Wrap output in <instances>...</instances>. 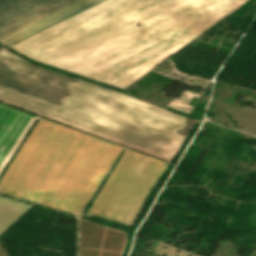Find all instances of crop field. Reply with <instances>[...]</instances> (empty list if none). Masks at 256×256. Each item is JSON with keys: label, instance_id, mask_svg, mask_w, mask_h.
I'll return each instance as SVG.
<instances>
[{"label": "crop field", "instance_id": "8a807250", "mask_svg": "<svg viewBox=\"0 0 256 256\" xmlns=\"http://www.w3.org/2000/svg\"><path fill=\"white\" fill-rule=\"evenodd\" d=\"M246 0H107L12 48L124 88Z\"/></svg>", "mask_w": 256, "mask_h": 256}, {"label": "crop field", "instance_id": "ac0d7876", "mask_svg": "<svg viewBox=\"0 0 256 256\" xmlns=\"http://www.w3.org/2000/svg\"><path fill=\"white\" fill-rule=\"evenodd\" d=\"M0 100L171 161L194 121L0 49Z\"/></svg>", "mask_w": 256, "mask_h": 256}, {"label": "crop field", "instance_id": "34b2d1b8", "mask_svg": "<svg viewBox=\"0 0 256 256\" xmlns=\"http://www.w3.org/2000/svg\"><path fill=\"white\" fill-rule=\"evenodd\" d=\"M39 120L0 192L80 216L123 147Z\"/></svg>", "mask_w": 256, "mask_h": 256}, {"label": "crop field", "instance_id": "412701ff", "mask_svg": "<svg viewBox=\"0 0 256 256\" xmlns=\"http://www.w3.org/2000/svg\"><path fill=\"white\" fill-rule=\"evenodd\" d=\"M125 150L87 214L131 226L168 163Z\"/></svg>", "mask_w": 256, "mask_h": 256}, {"label": "crop field", "instance_id": "f4fd0767", "mask_svg": "<svg viewBox=\"0 0 256 256\" xmlns=\"http://www.w3.org/2000/svg\"><path fill=\"white\" fill-rule=\"evenodd\" d=\"M76 0H23L0 11V38Z\"/></svg>", "mask_w": 256, "mask_h": 256}, {"label": "crop field", "instance_id": "dd49c442", "mask_svg": "<svg viewBox=\"0 0 256 256\" xmlns=\"http://www.w3.org/2000/svg\"><path fill=\"white\" fill-rule=\"evenodd\" d=\"M36 119L38 117L13 108L9 112L0 126V173Z\"/></svg>", "mask_w": 256, "mask_h": 256}, {"label": "crop field", "instance_id": "e52e79f7", "mask_svg": "<svg viewBox=\"0 0 256 256\" xmlns=\"http://www.w3.org/2000/svg\"><path fill=\"white\" fill-rule=\"evenodd\" d=\"M105 0H79L73 4H70L2 39L0 42L11 47L47 28H50L86 9H89Z\"/></svg>", "mask_w": 256, "mask_h": 256}, {"label": "crop field", "instance_id": "d8731c3e", "mask_svg": "<svg viewBox=\"0 0 256 256\" xmlns=\"http://www.w3.org/2000/svg\"><path fill=\"white\" fill-rule=\"evenodd\" d=\"M30 207V205L0 197V233Z\"/></svg>", "mask_w": 256, "mask_h": 256}, {"label": "crop field", "instance_id": "5a996713", "mask_svg": "<svg viewBox=\"0 0 256 256\" xmlns=\"http://www.w3.org/2000/svg\"><path fill=\"white\" fill-rule=\"evenodd\" d=\"M9 110H10V107L0 104V124L8 114Z\"/></svg>", "mask_w": 256, "mask_h": 256}, {"label": "crop field", "instance_id": "3316defc", "mask_svg": "<svg viewBox=\"0 0 256 256\" xmlns=\"http://www.w3.org/2000/svg\"><path fill=\"white\" fill-rule=\"evenodd\" d=\"M20 0H0V10Z\"/></svg>", "mask_w": 256, "mask_h": 256}]
</instances>
